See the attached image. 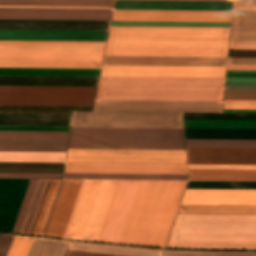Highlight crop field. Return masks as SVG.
<instances>
[{"mask_svg": "<svg viewBox=\"0 0 256 256\" xmlns=\"http://www.w3.org/2000/svg\"><path fill=\"white\" fill-rule=\"evenodd\" d=\"M163 256H256V252H223V251H168Z\"/></svg>", "mask_w": 256, "mask_h": 256, "instance_id": "obj_42", "label": "crop field"}, {"mask_svg": "<svg viewBox=\"0 0 256 256\" xmlns=\"http://www.w3.org/2000/svg\"><path fill=\"white\" fill-rule=\"evenodd\" d=\"M66 153H7L0 152L6 162H65Z\"/></svg>", "mask_w": 256, "mask_h": 256, "instance_id": "obj_36", "label": "crop field"}, {"mask_svg": "<svg viewBox=\"0 0 256 256\" xmlns=\"http://www.w3.org/2000/svg\"><path fill=\"white\" fill-rule=\"evenodd\" d=\"M0 7H24V6H0ZM25 8H83V7H25ZM83 9H112V8H83Z\"/></svg>", "mask_w": 256, "mask_h": 256, "instance_id": "obj_58", "label": "crop field"}, {"mask_svg": "<svg viewBox=\"0 0 256 256\" xmlns=\"http://www.w3.org/2000/svg\"><path fill=\"white\" fill-rule=\"evenodd\" d=\"M110 21L0 20V29L108 30Z\"/></svg>", "mask_w": 256, "mask_h": 256, "instance_id": "obj_21", "label": "crop field"}, {"mask_svg": "<svg viewBox=\"0 0 256 256\" xmlns=\"http://www.w3.org/2000/svg\"><path fill=\"white\" fill-rule=\"evenodd\" d=\"M68 132H10L0 131V138L9 139H67ZM0 145L67 146V140H8L0 139ZM0 146L7 152H66L67 147Z\"/></svg>", "mask_w": 256, "mask_h": 256, "instance_id": "obj_13", "label": "crop field"}, {"mask_svg": "<svg viewBox=\"0 0 256 256\" xmlns=\"http://www.w3.org/2000/svg\"><path fill=\"white\" fill-rule=\"evenodd\" d=\"M227 70H256V65H228Z\"/></svg>", "mask_w": 256, "mask_h": 256, "instance_id": "obj_57", "label": "crop field"}, {"mask_svg": "<svg viewBox=\"0 0 256 256\" xmlns=\"http://www.w3.org/2000/svg\"><path fill=\"white\" fill-rule=\"evenodd\" d=\"M99 73H100V70L7 69V68H0V75L99 76Z\"/></svg>", "mask_w": 256, "mask_h": 256, "instance_id": "obj_32", "label": "crop field"}, {"mask_svg": "<svg viewBox=\"0 0 256 256\" xmlns=\"http://www.w3.org/2000/svg\"><path fill=\"white\" fill-rule=\"evenodd\" d=\"M232 2L116 1L114 9L231 10Z\"/></svg>", "mask_w": 256, "mask_h": 256, "instance_id": "obj_24", "label": "crop field"}, {"mask_svg": "<svg viewBox=\"0 0 256 256\" xmlns=\"http://www.w3.org/2000/svg\"><path fill=\"white\" fill-rule=\"evenodd\" d=\"M68 249L123 256H161V250L71 242Z\"/></svg>", "mask_w": 256, "mask_h": 256, "instance_id": "obj_27", "label": "crop field"}, {"mask_svg": "<svg viewBox=\"0 0 256 256\" xmlns=\"http://www.w3.org/2000/svg\"><path fill=\"white\" fill-rule=\"evenodd\" d=\"M186 139L256 140V131L185 130Z\"/></svg>", "mask_w": 256, "mask_h": 256, "instance_id": "obj_33", "label": "crop field"}, {"mask_svg": "<svg viewBox=\"0 0 256 256\" xmlns=\"http://www.w3.org/2000/svg\"><path fill=\"white\" fill-rule=\"evenodd\" d=\"M68 148L185 150L183 129L71 128Z\"/></svg>", "mask_w": 256, "mask_h": 256, "instance_id": "obj_5", "label": "crop field"}, {"mask_svg": "<svg viewBox=\"0 0 256 256\" xmlns=\"http://www.w3.org/2000/svg\"><path fill=\"white\" fill-rule=\"evenodd\" d=\"M108 31L0 30V40L106 41Z\"/></svg>", "mask_w": 256, "mask_h": 256, "instance_id": "obj_16", "label": "crop field"}, {"mask_svg": "<svg viewBox=\"0 0 256 256\" xmlns=\"http://www.w3.org/2000/svg\"><path fill=\"white\" fill-rule=\"evenodd\" d=\"M123 181H119L102 242ZM151 181H124L103 242L129 244ZM168 181H152L130 244L146 246ZM187 181H169L147 246L164 247Z\"/></svg>", "mask_w": 256, "mask_h": 256, "instance_id": "obj_1", "label": "crop field"}, {"mask_svg": "<svg viewBox=\"0 0 256 256\" xmlns=\"http://www.w3.org/2000/svg\"><path fill=\"white\" fill-rule=\"evenodd\" d=\"M230 28L111 27L105 56L227 57Z\"/></svg>", "mask_w": 256, "mask_h": 256, "instance_id": "obj_2", "label": "crop field"}, {"mask_svg": "<svg viewBox=\"0 0 256 256\" xmlns=\"http://www.w3.org/2000/svg\"><path fill=\"white\" fill-rule=\"evenodd\" d=\"M117 182L83 181L63 238L98 240Z\"/></svg>", "mask_w": 256, "mask_h": 256, "instance_id": "obj_6", "label": "crop field"}, {"mask_svg": "<svg viewBox=\"0 0 256 256\" xmlns=\"http://www.w3.org/2000/svg\"><path fill=\"white\" fill-rule=\"evenodd\" d=\"M0 78L98 79L99 77L0 76ZM36 79H0V85L2 86L97 87V83H98V80H36Z\"/></svg>", "mask_w": 256, "mask_h": 256, "instance_id": "obj_26", "label": "crop field"}, {"mask_svg": "<svg viewBox=\"0 0 256 256\" xmlns=\"http://www.w3.org/2000/svg\"><path fill=\"white\" fill-rule=\"evenodd\" d=\"M65 173L187 174L186 164L67 162Z\"/></svg>", "mask_w": 256, "mask_h": 256, "instance_id": "obj_11", "label": "crop field"}, {"mask_svg": "<svg viewBox=\"0 0 256 256\" xmlns=\"http://www.w3.org/2000/svg\"><path fill=\"white\" fill-rule=\"evenodd\" d=\"M105 44L0 41V67L100 69Z\"/></svg>", "mask_w": 256, "mask_h": 256, "instance_id": "obj_4", "label": "crop field"}, {"mask_svg": "<svg viewBox=\"0 0 256 256\" xmlns=\"http://www.w3.org/2000/svg\"><path fill=\"white\" fill-rule=\"evenodd\" d=\"M48 180H39L20 234L29 235Z\"/></svg>", "mask_w": 256, "mask_h": 256, "instance_id": "obj_39", "label": "crop field"}, {"mask_svg": "<svg viewBox=\"0 0 256 256\" xmlns=\"http://www.w3.org/2000/svg\"><path fill=\"white\" fill-rule=\"evenodd\" d=\"M111 26L230 27V23L112 22Z\"/></svg>", "mask_w": 256, "mask_h": 256, "instance_id": "obj_41", "label": "crop field"}, {"mask_svg": "<svg viewBox=\"0 0 256 256\" xmlns=\"http://www.w3.org/2000/svg\"><path fill=\"white\" fill-rule=\"evenodd\" d=\"M66 256H114V255H106V254H97V253H89V252H80V251H72L68 250Z\"/></svg>", "mask_w": 256, "mask_h": 256, "instance_id": "obj_56", "label": "crop field"}, {"mask_svg": "<svg viewBox=\"0 0 256 256\" xmlns=\"http://www.w3.org/2000/svg\"><path fill=\"white\" fill-rule=\"evenodd\" d=\"M0 177L12 178H63V174H3Z\"/></svg>", "mask_w": 256, "mask_h": 256, "instance_id": "obj_48", "label": "crop field"}, {"mask_svg": "<svg viewBox=\"0 0 256 256\" xmlns=\"http://www.w3.org/2000/svg\"><path fill=\"white\" fill-rule=\"evenodd\" d=\"M67 161L186 163L185 151L68 149Z\"/></svg>", "mask_w": 256, "mask_h": 256, "instance_id": "obj_9", "label": "crop field"}, {"mask_svg": "<svg viewBox=\"0 0 256 256\" xmlns=\"http://www.w3.org/2000/svg\"><path fill=\"white\" fill-rule=\"evenodd\" d=\"M71 127L183 128L182 114L72 113Z\"/></svg>", "mask_w": 256, "mask_h": 256, "instance_id": "obj_8", "label": "crop field"}, {"mask_svg": "<svg viewBox=\"0 0 256 256\" xmlns=\"http://www.w3.org/2000/svg\"><path fill=\"white\" fill-rule=\"evenodd\" d=\"M226 85H256V78H227Z\"/></svg>", "mask_w": 256, "mask_h": 256, "instance_id": "obj_51", "label": "crop field"}, {"mask_svg": "<svg viewBox=\"0 0 256 256\" xmlns=\"http://www.w3.org/2000/svg\"><path fill=\"white\" fill-rule=\"evenodd\" d=\"M227 58L105 57L103 65L226 66Z\"/></svg>", "mask_w": 256, "mask_h": 256, "instance_id": "obj_22", "label": "crop field"}, {"mask_svg": "<svg viewBox=\"0 0 256 256\" xmlns=\"http://www.w3.org/2000/svg\"><path fill=\"white\" fill-rule=\"evenodd\" d=\"M224 87L99 85L96 100L222 101Z\"/></svg>", "mask_w": 256, "mask_h": 256, "instance_id": "obj_7", "label": "crop field"}, {"mask_svg": "<svg viewBox=\"0 0 256 256\" xmlns=\"http://www.w3.org/2000/svg\"><path fill=\"white\" fill-rule=\"evenodd\" d=\"M174 1H232V0H174Z\"/></svg>", "mask_w": 256, "mask_h": 256, "instance_id": "obj_61", "label": "crop field"}, {"mask_svg": "<svg viewBox=\"0 0 256 256\" xmlns=\"http://www.w3.org/2000/svg\"><path fill=\"white\" fill-rule=\"evenodd\" d=\"M227 77H256V74H227Z\"/></svg>", "mask_w": 256, "mask_h": 256, "instance_id": "obj_59", "label": "crop field"}, {"mask_svg": "<svg viewBox=\"0 0 256 256\" xmlns=\"http://www.w3.org/2000/svg\"><path fill=\"white\" fill-rule=\"evenodd\" d=\"M225 79L101 77L99 84L224 86Z\"/></svg>", "mask_w": 256, "mask_h": 256, "instance_id": "obj_25", "label": "crop field"}, {"mask_svg": "<svg viewBox=\"0 0 256 256\" xmlns=\"http://www.w3.org/2000/svg\"><path fill=\"white\" fill-rule=\"evenodd\" d=\"M64 169H4L0 168L3 173H63Z\"/></svg>", "mask_w": 256, "mask_h": 256, "instance_id": "obj_47", "label": "crop field"}, {"mask_svg": "<svg viewBox=\"0 0 256 256\" xmlns=\"http://www.w3.org/2000/svg\"><path fill=\"white\" fill-rule=\"evenodd\" d=\"M224 100H256V93H225Z\"/></svg>", "mask_w": 256, "mask_h": 256, "instance_id": "obj_50", "label": "crop field"}, {"mask_svg": "<svg viewBox=\"0 0 256 256\" xmlns=\"http://www.w3.org/2000/svg\"><path fill=\"white\" fill-rule=\"evenodd\" d=\"M8 180H0V200ZM30 180H9L0 202V232H12Z\"/></svg>", "mask_w": 256, "mask_h": 256, "instance_id": "obj_18", "label": "crop field"}, {"mask_svg": "<svg viewBox=\"0 0 256 256\" xmlns=\"http://www.w3.org/2000/svg\"><path fill=\"white\" fill-rule=\"evenodd\" d=\"M226 67L103 66L101 76L225 78Z\"/></svg>", "mask_w": 256, "mask_h": 256, "instance_id": "obj_10", "label": "crop field"}, {"mask_svg": "<svg viewBox=\"0 0 256 256\" xmlns=\"http://www.w3.org/2000/svg\"><path fill=\"white\" fill-rule=\"evenodd\" d=\"M227 73H256V71H227Z\"/></svg>", "mask_w": 256, "mask_h": 256, "instance_id": "obj_62", "label": "crop field"}, {"mask_svg": "<svg viewBox=\"0 0 256 256\" xmlns=\"http://www.w3.org/2000/svg\"><path fill=\"white\" fill-rule=\"evenodd\" d=\"M184 194L256 195V190L186 189ZM181 205L256 206V196L184 195Z\"/></svg>", "mask_w": 256, "mask_h": 256, "instance_id": "obj_15", "label": "crop field"}, {"mask_svg": "<svg viewBox=\"0 0 256 256\" xmlns=\"http://www.w3.org/2000/svg\"><path fill=\"white\" fill-rule=\"evenodd\" d=\"M188 164L256 165V149L187 148Z\"/></svg>", "mask_w": 256, "mask_h": 256, "instance_id": "obj_14", "label": "crop field"}, {"mask_svg": "<svg viewBox=\"0 0 256 256\" xmlns=\"http://www.w3.org/2000/svg\"><path fill=\"white\" fill-rule=\"evenodd\" d=\"M228 64H256V58H229Z\"/></svg>", "mask_w": 256, "mask_h": 256, "instance_id": "obj_54", "label": "crop field"}, {"mask_svg": "<svg viewBox=\"0 0 256 256\" xmlns=\"http://www.w3.org/2000/svg\"><path fill=\"white\" fill-rule=\"evenodd\" d=\"M225 92H256V86H226Z\"/></svg>", "mask_w": 256, "mask_h": 256, "instance_id": "obj_53", "label": "crop field"}, {"mask_svg": "<svg viewBox=\"0 0 256 256\" xmlns=\"http://www.w3.org/2000/svg\"><path fill=\"white\" fill-rule=\"evenodd\" d=\"M224 109H256V101H224Z\"/></svg>", "mask_w": 256, "mask_h": 256, "instance_id": "obj_46", "label": "crop field"}, {"mask_svg": "<svg viewBox=\"0 0 256 256\" xmlns=\"http://www.w3.org/2000/svg\"><path fill=\"white\" fill-rule=\"evenodd\" d=\"M65 178L187 180V175L65 174Z\"/></svg>", "mask_w": 256, "mask_h": 256, "instance_id": "obj_38", "label": "crop field"}, {"mask_svg": "<svg viewBox=\"0 0 256 256\" xmlns=\"http://www.w3.org/2000/svg\"><path fill=\"white\" fill-rule=\"evenodd\" d=\"M166 247L256 249V216L178 215Z\"/></svg>", "mask_w": 256, "mask_h": 256, "instance_id": "obj_3", "label": "crop field"}, {"mask_svg": "<svg viewBox=\"0 0 256 256\" xmlns=\"http://www.w3.org/2000/svg\"><path fill=\"white\" fill-rule=\"evenodd\" d=\"M68 242L35 238L28 256H63Z\"/></svg>", "mask_w": 256, "mask_h": 256, "instance_id": "obj_37", "label": "crop field"}, {"mask_svg": "<svg viewBox=\"0 0 256 256\" xmlns=\"http://www.w3.org/2000/svg\"><path fill=\"white\" fill-rule=\"evenodd\" d=\"M223 112H250V113H256V110H224Z\"/></svg>", "mask_w": 256, "mask_h": 256, "instance_id": "obj_60", "label": "crop field"}, {"mask_svg": "<svg viewBox=\"0 0 256 256\" xmlns=\"http://www.w3.org/2000/svg\"><path fill=\"white\" fill-rule=\"evenodd\" d=\"M185 129L256 130V121L184 120Z\"/></svg>", "mask_w": 256, "mask_h": 256, "instance_id": "obj_31", "label": "crop field"}, {"mask_svg": "<svg viewBox=\"0 0 256 256\" xmlns=\"http://www.w3.org/2000/svg\"><path fill=\"white\" fill-rule=\"evenodd\" d=\"M13 239H14L13 235L0 233V256H7V253L10 249Z\"/></svg>", "mask_w": 256, "mask_h": 256, "instance_id": "obj_49", "label": "crop field"}, {"mask_svg": "<svg viewBox=\"0 0 256 256\" xmlns=\"http://www.w3.org/2000/svg\"><path fill=\"white\" fill-rule=\"evenodd\" d=\"M114 1L0 0V5L112 7Z\"/></svg>", "mask_w": 256, "mask_h": 256, "instance_id": "obj_34", "label": "crop field"}, {"mask_svg": "<svg viewBox=\"0 0 256 256\" xmlns=\"http://www.w3.org/2000/svg\"><path fill=\"white\" fill-rule=\"evenodd\" d=\"M112 11L0 9V19L110 20Z\"/></svg>", "mask_w": 256, "mask_h": 256, "instance_id": "obj_19", "label": "crop field"}, {"mask_svg": "<svg viewBox=\"0 0 256 256\" xmlns=\"http://www.w3.org/2000/svg\"><path fill=\"white\" fill-rule=\"evenodd\" d=\"M229 49H256V43H230Z\"/></svg>", "mask_w": 256, "mask_h": 256, "instance_id": "obj_55", "label": "crop field"}, {"mask_svg": "<svg viewBox=\"0 0 256 256\" xmlns=\"http://www.w3.org/2000/svg\"><path fill=\"white\" fill-rule=\"evenodd\" d=\"M69 127H11L0 126V130L10 131H68Z\"/></svg>", "mask_w": 256, "mask_h": 256, "instance_id": "obj_45", "label": "crop field"}, {"mask_svg": "<svg viewBox=\"0 0 256 256\" xmlns=\"http://www.w3.org/2000/svg\"><path fill=\"white\" fill-rule=\"evenodd\" d=\"M230 42H256V12H233Z\"/></svg>", "mask_w": 256, "mask_h": 256, "instance_id": "obj_29", "label": "crop field"}, {"mask_svg": "<svg viewBox=\"0 0 256 256\" xmlns=\"http://www.w3.org/2000/svg\"><path fill=\"white\" fill-rule=\"evenodd\" d=\"M62 180H49L30 235L43 236Z\"/></svg>", "mask_w": 256, "mask_h": 256, "instance_id": "obj_28", "label": "crop field"}, {"mask_svg": "<svg viewBox=\"0 0 256 256\" xmlns=\"http://www.w3.org/2000/svg\"><path fill=\"white\" fill-rule=\"evenodd\" d=\"M83 180H64L46 237L62 238Z\"/></svg>", "mask_w": 256, "mask_h": 256, "instance_id": "obj_20", "label": "crop field"}, {"mask_svg": "<svg viewBox=\"0 0 256 256\" xmlns=\"http://www.w3.org/2000/svg\"><path fill=\"white\" fill-rule=\"evenodd\" d=\"M15 237V236H14ZM34 238L16 236L8 256H27Z\"/></svg>", "mask_w": 256, "mask_h": 256, "instance_id": "obj_44", "label": "crop field"}, {"mask_svg": "<svg viewBox=\"0 0 256 256\" xmlns=\"http://www.w3.org/2000/svg\"><path fill=\"white\" fill-rule=\"evenodd\" d=\"M0 116L15 117H70V115H25L0 114ZM70 118H14L0 117V125L12 126H69Z\"/></svg>", "mask_w": 256, "mask_h": 256, "instance_id": "obj_30", "label": "crop field"}, {"mask_svg": "<svg viewBox=\"0 0 256 256\" xmlns=\"http://www.w3.org/2000/svg\"><path fill=\"white\" fill-rule=\"evenodd\" d=\"M187 147L256 148V141L186 140Z\"/></svg>", "mask_w": 256, "mask_h": 256, "instance_id": "obj_40", "label": "crop field"}, {"mask_svg": "<svg viewBox=\"0 0 256 256\" xmlns=\"http://www.w3.org/2000/svg\"><path fill=\"white\" fill-rule=\"evenodd\" d=\"M222 102L96 101L94 111L221 112Z\"/></svg>", "mask_w": 256, "mask_h": 256, "instance_id": "obj_12", "label": "crop field"}, {"mask_svg": "<svg viewBox=\"0 0 256 256\" xmlns=\"http://www.w3.org/2000/svg\"><path fill=\"white\" fill-rule=\"evenodd\" d=\"M231 12L114 11L112 18L230 19ZM112 19V21L230 22V20Z\"/></svg>", "mask_w": 256, "mask_h": 256, "instance_id": "obj_17", "label": "crop field"}, {"mask_svg": "<svg viewBox=\"0 0 256 256\" xmlns=\"http://www.w3.org/2000/svg\"><path fill=\"white\" fill-rule=\"evenodd\" d=\"M37 181L38 180H31L30 181L29 187L27 189V192H26V195H25L22 207L20 209V212H19L16 224L14 226V229H13L12 233H18V234L20 233V230H21L23 221L25 219V216H26V213H27V210H28V207H29L32 195L34 193V190H35V187H36V184H37Z\"/></svg>", "mask_w": 256, "mask_h": 256, "instance_id": "obj_43", "label": "crop field"}, {"mask_svg": "<svg viewBox=\"0 0 256 256\" xmlns=\"http://www.w3.org/2000/svg\"><path fill=\"white\" fill-rule=\"evenodd\" d=\"M188 169L256 170V166L188 165ZM189 180L256 181V171L188 170Z\"/></svg>", "mask_w": 256, "mask_h": 256, "instance_id": "obj_23", "label": "crop field"}, {"mask_svg": "<svg viewBox=\"0 0 256 256\" xmlns=\"http://www.w3.org/2000/svg\"><path fill=\"white\" fill-rule=\"evenodd\" d=\"M178 214L256 215V207L181 206Z\"/></svg>", "mask_w": 256, "mask_h": 256, "instance_id": "obj_35", "label": "crop field"}, {"mask_svg": "<svg viewBox=\"0 0 256 256\" xmlns=\"http://www.w3.org/2000/svg\"><path fill=\"white\" fill-rule=\"evenodd\" d=\"M234 3H256V0H234ZM233 10H256V4H234Z\"/></svg>", "mask_w": 256, "mask_h": 256, "instance_id": "obj_52", "label": "crop field"}]
</instances>
